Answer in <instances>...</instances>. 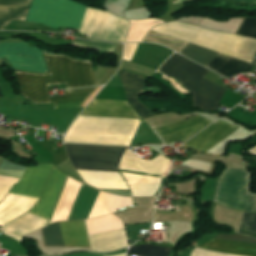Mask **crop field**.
Listing matches in <instances>:
<instances>
[{"label":"crop field","instance_id":"obj_20","mask_svg":"<svg viewBox=\"0 0 256 256\" xmlns=\"http://www.w3.org/2000/svg\"><path fill=\"white\" fill-rule=\"evenodd\" d=\"M181 53L205 66L218 54V52L211 51L192 43H190Z\"/></svg>","mask_w":256,"mask_h":256},{"label":"crop field","instance_id":"obj_2","mask_svg":"<svg viewBox=\"0 0 256 256\" xmlns=\"http://www.w3.org/2000/svg\"><path fill=\"white\" fill-rule=\"evenodd\" d=\"M75 169L117 172L126 148L65 144ZM141 159V158H140ZM126 150L119 169L164 175L170 160L161 154L151 161L140 160Z\"/></svg>","mask_w":256,"mask_h":256},{"label":"crop field","instance_id":"obj_30","mask_svg":"<svg viewBox=\"0 0 256 256\" xmlns=\"http://www.w3.org/2000/svg\"><path fill=\"white\" fill-rule=\"evenodd\" d=\"M0 96H2V95H1V91H0Z\"/></svg>","mask_w":256,"mask_h":256},{"label":"crop field","instance_id":"obj_17","mask_svg":"<svg viewBox=\"0 0 256 256\" xmlns=\"http://www.w3.org/2000/svg\"><path fill=\"white\" fill-rule=\"evenodd\" d=\"M32 0H0V29L13 19L27 20Z\"/></svg>","mask_w":256,"mask_h":256},{"label":"crop field","instance_id":"obj_5","mask_svg":"<svg viewBox=\"0 0 256 256\" xmlns=\"http://www.w3.org/2000/svg\"><path fill=\"white\" fill-rule=\"evenodd\" d=\"M85 8L74 0H33L27 21L78 29Z\"/></svg>","mask_w":256,"mask_h":256},{"label":"crop field","instance_id":"obj_28","mask_svg":"<svg viewBox=\"0 0 256 256\" xmlns=\"http://www.w3.org/2000/svg\"><path fill=\"white\" fill-rule=\"evenodd\" d=\"M187 1H190V0H176V1L173 2V3H183V2H187Z\"/></svg>","mask_w":256,"mask_h":256},{"label":"crop field","instance_id":"obj_29","mask_svg":"<svg viewBox=\"0 0 256 256\" xmlns=\"http://www.w3.org/2000/svg\"><path fill=\"white\" fill-rule=\"evenodd\" d=\"M126 253L123 254H117V255H112V256H125Z\"/></svg>","mask_w":256,"mask_h":256},{"label":"crop field","instance_id":"obj_19","mask_svg":"<svg viewBox=\"0 0 256 256\" xmlns=\"http://www.w3.org/2000/svg\"><path fill=\"white\" fill-rule=\"evenodd\" d=\"M130 27L127 35L126 42L142 41L146 33L154 26L164 23L159 19H147L144 21L129 20Z\"/></svg>","mask_w":256,"mask_h":256},{"label":"crop field","instance_id":"obj_13","mask_svg":"<svg viewBox=\"0 0 256 256\" xmlns=\"http://www.w3.org/2000/svg\"><path fill=\"white\" fill-rule=\"evenodd\" d=\"M209 123H211V121L196 116L186 121L157 128L156 130L162 139L169 144L179 139L187 140Z\"/></svg>","mask_w":256,"mask_h":256},{"label":"crop field","instance_id":"obj_9","mask_svg":"<svg viewBox=\"0 0 256 256\" xmlns=\"http://www.w3.org/2000/svg\"><path fill=\"white\" fill-rule=\"evenodd\" d=\"M60 224L66 246H89L84 221ZM60 224L53 223L43 228L46 245L65 246Z\"/></svg>","mask_w":256,"mask_h":256},{"label":"crop field","instance_id":"obj_24","mask_svg":"<svg viewBox=\"0 0 256 256\" xmlns=\"http://www.w3.org/2000/svg\"><path fill=\"white\" fill-rule=\"evenodd\" d=\"M72 44L80 46V47H84V48L100 50L104 53H113V51L117 45V44H107V43L86 41V40H82V39H79Z\"/></svg>","mask_w":256,"mask_h":256},{"label":"crop field","instance_id":"obj_3","mask_svg":"<svg viewBox=\"0 0 256 256\" xmlns=\"http://www.w3.org/2000/svg\"><path fill=\"white\" fill-rule=\"evenodd\" d=\"M139 123L131 119L79 116L65 142L129 146Z\"/></svg>","mask_w":256,"mask_h":256},{"label":"crop field","instance_id":"obj_27","mask_svg":"<svg viewBox=\"0 0 256 256\" xmlns=\"http://www.w3.org/2000/svg\"><path fill=\"white\" fill-rule=\"evenodd\" d=\"M237 1H242V2H247V3H254V4H256V0H237Z\"/></svg>","mask_w":256,"mask_h":256},{"label":"crop field","instance_id":"obj_8","mask_svg":"<svg viewBox=\"0 0 256 256\" xmlns=\"http://www.w3.org/2000/svg\"><path fill=\"white\" fill-rule=\"evenodd\" d=\"M5 57L16 70L37 73L49 72L38 48L27 43H0V58Z\"/></svg>","mask_w":256,"mask_h":256},{"label":"crop field","instance_id":"obj_1","mask_svg":"<svg viewBox=\"0 0 256 256\" xmlns=\"http://www.w3.org/2000/svg\"><path fill=\"white\" fill-rule=\"evenodd\" d=\"M50 73L17 72L21 95L36 103H54V109L81 107L97 88L66 91V97L48 98L49 84L67 83L68 88L95 85L92 62L75 60L66 55L43 52Z\"/></svg>","mask_w":256,"mask_h":256},{"label":"crop field","instance_id":"obj_21","mask_svg":"<svg viewBox=\"0 0 256 256\" xmlns=\"http://www.w3.org/2000/svg\"><path fill=\"white\" fill-rule=\"evenodd\" d=\"M144 40L159 42L180 52L188 42L150 30Z\"/></svg>","mask_w":256,"mask_h":256},{"label":"crop field","instance_id":"obj_22","mask_svg":"<svg viewBox=\"0 0 256 256\" xmlns=\"http://www.w3.org/2000/svg\"><path fill=\"white\" fill-rule=\"evenodd\" d=\"M171 248H165L161 246L153 245H137L129 249L130 255L141 256H169Z\"/></svg>","mask_w":256,"mask_h":256},{"label":"crop field","instance_id":"obj_11","mask_svg":"<svg viewBox=\"0 0 256 256\" xmlns=\"http://www.w3.org/2000/svg\"><path fill=\"white\" fill-rule=\"evenodd\" d=\"M53 165L38 164L27 168L18 184L11 193L39 198Z\"/></svg>","mask_w":256,"mask_h":256},{"label":"crop field","instance_id":"obj_15","mask_svg":"<svg viewBox=\"0 0 256 256\" xmlns=\"http://www.w3.org/2000/svg\"><path fill=\"white\" fill-rule=\"evenodd\" d=\"M88 106L133 109L128 101L94 99ZM81 115L140 119L134 110L87 107Z\"/></svg>","mask_w":256,"mask_h":256},{"label":"crop field","instance_id":"obj_12","mask_svg":"<svg viewBox=\"0 0 256 256\" xmlns=\"http://www.w3.org/2000/svg\"><path fill=\"white\" fill-rule=\"evenodd\" d=\"M236 129L238 127L219 120L195 135L184 145L206 152Z\"/></svg>","mask_w":256,"mask_h":256},{"label":"crop field","instance_id":"obj_26","mask_svg":"<svg viewBox=\"0 0 256 256\" xmlns=\"http://www.w3.org/2000/svg\"><path fill=\"white\" fill-rule=\"evenodd\" d=\"M138 44H126L125 45V50H124V57L123 59L125 60H131L133 54H134V51L136 49Z\"/></svg>","mask_w":256,"mask_h":256},{"label":"crop field","instance_id":"obj_14","mask_svg":"<svg viewBox=\"0 0 256 256\" xmlns=\"http://www.w3.org/2000/svg\"><path fill=\"white\" fill-rule=\"evenodd\" d=\"M65 177L66 175L58 171L54 166L40 201L29 212L48 219L55 206Z\"/></svg>","mask_w":256,"mask_h":256},{"label":"crop field","instance_id":"obj_10","mask_svg":"<svg viewBox=\"0 0 256 256\" xmlns=\"http://www.w3.org/2000/svg\"><path fill=\"white\" fill-rule=\"evenodd\" d=\"M215 236L256 242V240L254 239L240 236L237 233H234L231 235L217 234ZM216 237H212L208 239L207 241L200 244L196 248L256 256V243L254 242L216 238Z\"/></svg>","mask_w":256,"mask_h":256},{"label":"crop field","instance_id":"obj_7","mask_svg":"<svg viewBox=\"0 0 256 256\" xmlns=\"http://www.w3.org/2000/svg\"><path fill=\"white\" fill-rule=\"evenodd\" d=\"M83 181L98 189H128L118 173L76 170ZM131 189L132 196H154L161 178L122 173Z\"/></svg>","mask_w":256,"mask_h":256},{"label":"crop field","instance_id":"obj_18","mask_svg":"<svg viewBox=\"0 0 256 256\" xmlns=\"http://www.w3.org/2000/svg\"><path fill=\"white\" fill-rule=\"evenodd\" d=\"M206 67L229 78L235 74L251 71L253 64L219 53Z\"/></svg>","mask_w":256,"mask_h":256},{"label":"crop field","instance_id":"obj_6","mask_svg":"<svg viewBox=\"0 0 256 256\" xmlns=\"http://www.w3.org/2000/svg\"><path fill=\"white\" fill-rule=\"evenodd\" d=\"M249 176L248 170L227 168L219 178L214 202L256 212V195H248Z\"/></svg>","mask_w":256,"mask_h":256},{"label":"crop field","instance_id":"obj_4","mask_svg":"<svg viewBox=\"0 0 256 256\" xmlns=\"http://www.w3.org/2000/svg\"><path fill=\"white\" fill-rule=\"evenodd\" d=\"M159 69L192 86V107L218 110V103L226 89L203 78L211 71L176 53Z\"/></svg>","mask_w":256,"mask_h":256},{"label":"crop field","instance_id":"obj_23","mask_svg":"<svg viewBox=\"0 0 256 256\" xmlns=\"http://www.w3.org/2000/svg\"><path fill=\"white\" fill-rule=\"evenodd\" d=\"M238 232L256 238V214L244 212Z\"/></svg>","mask_w":256,"mask_h":256},{"label":"crop field","instance_id":"obj_25","mask_svg":"<svg viewBox=\"0 0 256 256\" xmlns=\"http://www.w3.org/2000/svg\"><path fill=\"white\" fill-rule=\"evenodd\" d=\"M236 34L256 38V19L245 18Z\"/></svg>","mask_w":256,"mask_h":256},{"label":"crop field","instance_id":"obj_16","mask_svg":"<svg viewBox=\"0 0 256 256\" xmlns=\"http://www.w3.org/2000/svg\"><path fill=\"white\" fill-rule=\"evenodd\" d=\"M120 77L126 91V97L136 112L142 118L152 115L153 113L142 105L136 98V96L142 91L144 77L122 70H120Z\"/></svg>","mask_w":256,"mask_h":256}]
</instances>
